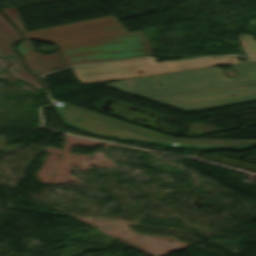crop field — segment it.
Here are the masks:
<instances>
[{
  "instance_id": "crop-field-9",
  "label": "crop field",
  "mask_w": 256,
  "mask_h": 256,
  "mask_svg": "<svg viewBox=\"0 0 256 256\" xmlns=\"http://www.w3.org/2000/svg\"><path fill=\"white\" fill-rule=\"evenodd\" d=\"M106 86L123 90L137 96L150 100L151 98L136 84L134 78L118 81L115 83L107 84Z\"/></svg>"
},
{
  "instance_id": "crop-field-7",
  "label": "crop field",
  "mask_w": 256,
  "mask_h": 256,
  "mask_svg": "<svg viewBox=\"0 0 256 256\" xmlns=\"http://www.w3.org/2000/svg\"><path fill=\"white\" fill-rule=\"evenodd\" d=\"M18 39H20L19 34L0 15V56L6 58L12 63L7 70L35 88L40 89V84L32 75L24 70L18 57L13 54V50L11 51L12 45Z\"/></svg>"
},
{
  "instance_id": "crop-field-5",
  "label": "crop field",
  "mask_w": 256,
  "mask_h": 256,
  "mask_svg": "<svg viewBox=\"0 0 256 256\" xmlns=\"http://www.w3.org/2000/svg\"><path fill=\"white\" fill-rule=\"evenodd\" d=\"M127 32L113 16H110L25 34L28 38L51 42L59 47Z\"/></svg>"
},
{
  "instance_id": "crop-field-4",
  "label": "crop field",
  "mask_w": 256,
  "mask_h": 256,
  "mask_svg": "<svg viewBox=\"0 0 256 256\" xmlns=\"http://www.w3.org/2000/svg\"><path fill=\"white\" fill-rule=\"evenodd\" d=\"M67 65L151 55L142 31L57 48Z\"/></svg>"
},
{
  "instance_id": "crop-field-11",
  "label": "crop field",
  "mask_w": 256,
  "mask_h": 256,
  "mask_svg": "<svg viewBox=\"0 0 256 256\" xmlns=\"http://www.w3.org/2000/svg\"><path fill=\"white\" fill-rule=\"evenodd\" d=\"M247 58L256 59V41L252 39L250 34L238 36Z\"/></svg>"
},
{
  "instance_id": "crop-field-6",
  "label": "crop field",
  "mask_w": 256,
  "mask_h": 256,
  "mask_svg": "<svg viewBox=\"0 0 256 256\" xmlns=\"http://www.w3.org/2000/svg\"><path fill=\"white\" fill-rule=\"evenodd\" d=\"M236 94L235 96H230ZM256 99V85L151 100L184 111Z\"/></svg>"
},
{
  "instance_id": "crop-field-8",
  "label": "crop field",
  "mask_w": 256,
  "mask_h": 256,
  "mask_svg": "<svg viewBox=\"0 0 256 256\" xmlns=\"http://www.w3.org/2000/svg\"><path fill=\"white\" fill-rule=\"evenodd\" d=\"M16 49L21 51L28 69L37 75L66 66L58 51L48 55L34 52L27 38L22 43H18Z\"/></svg>"
},
{
  "instance_id": "crop-field-3",
  "label": "crop field",
  "mask_w": 256,
  "mask_h": 256,
  "mask_svg": "<svg viewBox=\"0 0 256 256\" xmlns=\"http://www.w3.org/2000/svg\"><path fill=\"white\" fill-rule=\"evenodd\" d=\"M217 62L228 64L238 61L235 56L160 63H154L149 58H146L140 60L76 67L71 68V70L82 84H86L173 71L210 67L214 66ZM138 70H142L144 74L141 75L137 73Z\"/></svg>"
},
{
  "instance_id": "crop-field-10",
  "label": "crop field",
  "mask_w": 256,
  "mask_h": 256,
  "mask_svg": "<svg viewBox=\"0 0 256 256\" xmlns=\"http://www.w3.org/2000/svg\"><path fill=\"white\" fill-rule=\"evenodd\" d=\"M173 141L228 144V145H244V146H255L256 145V140L174 139Z\"/></svg>"
},
{
  "instance_id": "crop-field-1",
  "label": "crop field",
  "mask_w": 256,
  "mask_h": 256,
  "mask_svg": "<svg viewBox=\"0 0 256 256\" xmlns=\"http://www.w3.org/2000/svg\"><path fill=\"white\" fill-rule=\"evenodd\" d=\"M238 76L226 78L218 67L135 78L151 97H163L220 87L256 83V62L231 65ZM159 79L162 83H157ZM158 84L165 85L159 87Z\"/></svg>"
},
{
  "instance_id": "crop-field-12",
  "label": "crop field",
  "mask_w": 256,
  "mask_h": 256,
  "mask_svg": "<svg viewBox=\"0 0 256 256\" xmlns=\"http://www.w3.org/2000/svg\"><path fill=\"white\" fill-rule=\"evenodd\" d=\"M0 11H2L13 23L16 24L17 27L21 30L22 34L25 36V34L23 33L25 31L22 27L21 21L17 15L15 8L0 9Z\"/></svg>"
},
{
  "instance_id": "crop-field-2",
  "label": "crop field",
  "mask_w": 256,
  "mask_h": 256,
  "mask_svg": "<svg viewBox=\"0 0 256 256\" xmlns=\"http://www.w3.org/2000/svg\"><path fill=\"white\" fill-rule=\"evenodd\" d=\"M66 124L90 133L113 138L180 147L186 149L231 148L241 150L249 147L170 142L173 138L118 121L67 103L54 105Z\"/></svg>"
}]
</instances>
